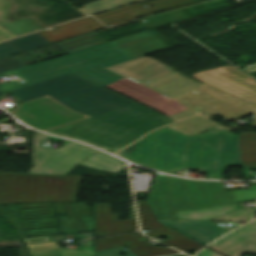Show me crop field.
I'll list each match as a JSON object with an SVG mask.
<instances>
[{"mask_svg":"<svg viewBox=\"0 0 256 256\" xmlns=\"http://www.w3.org/2000/svg\"><path fill=\"white\" fill-rule=\"evenodd\" d=\"M229 132L213 129L188 137L165 127L132 145L126 158L162 172L207 170L206 179H222L227 166H241L238 136Z\"/></svg>","mask_w":256,"mask_h":256,"instance_id":"crop-field-1","label":"crop field"},{"mask_svg":"<svg viewBox=\"0 0 256 256\" xmlns=\"http://www.w3.org/2000/svg\"><path fill=\"white\" fill-rule=\"evenodd\" d=\"M165 49L168 47L148 31L0 74L14 73L27 81L0 86L10 91L72 73L104 87L123 78L105 68Z\"/></svg>","mask_w":256,"mask_h":256,"instance_id":"crop-field-2","label":"crop field"},{"mask_svg":"<svg viewBox=\"0 0 256 256\" xmlns=\"http://www.w3.org/2000/svg\"><path fill=\"white\" fill-rule=\"evenodd\" d=\"M170 123L173 121L157 112L131 103L49 133L85 141L114 153L146 132Z\"/></svg>","mask_w":256,"mask_h":256,"instance_id":"crop-field-3","label":"crop field"},{"mask_svg":"<svg viewBox=\"0 0 256 256\" xmlns=\"http://www.w3.org/2000/svg\"><path fill=\"white\" fill-rule=\"evenodd\" d=\"M158 219H176L174 211L235 203L223 182L190 181L157 174L147 199Z\"/></svg>","mask_w":256,"mask_h":256,"instance_id":"crop-field-4","label":"crop field"},{"mask_svg":"<svg viewBox=\"0 0 256 256\" xmlns=\"http://www.w3.org/2000/svg\"><path fill=\"white\" fill-rule=\"evenodd\" d=\"M47 139L57 143L64 140L35 132L32 156L34 167L29 171L30 174H67L77 164L111 173L126 167L118 159L68 140L57 150L40 145Z\"/></svg>","mask_w":256,"mask_h":256,"instance_id":"crop-field-5","label":"crop field"},{"mask_svg":"<svg viewBox=\"0 0 256 256\" xmlns=\"http://www.w3.org/2000/svg\"><path fill=\"white\" fill-rule=\"evenodd\" d=\"M81 177L0 174V204L76 202Z\"/></svg>","mask_w":256,"mask_h":256,"instance_id":"crop-field-6","label":"crop field"},{"mask_svg":"<svg viewBox=\"0 0 256 256\" xmlns=\"http://www.w3.org/2000/svg\"><path fill=\"white\" fill-rule=\"evenodd\" d=\"M175 99L189 109L208 117L220 114L226 119H236L256 111V94L240 99L210 85Z\"/></svg>","mask_w":256,"mask_h":256,"instance_id":"crop-field-7","label":"crop field"},{"mask_svg":"<svg viewBox=\"0 0 256 256\" xmlns=\"http://www.w3.org/2000/svg\"><path fill=\"white\" fill-rule=\"evenodd\" d=\"M14 115L31 127L43 131L88 118L48 96L20 104Z\"/></svg>","mask_w":256,"mask_h":256,"instance_id":"crop-field-8","label":"crop field"},{"mask_svg":"<svg viewBox=\"0 0 256 256\" xmlns=\"http://www.w3.org/2000/svg\"><path fill=\"white\" fill-rule=\"evenodd\" d=\"M54 99L87 116H95L131 103L130 100L96 85Z\"/></svg>","mask_w":256,"mask_h":256,"instance_id":"crop-field-9","label":"crop field"},{"mask_svg":"<svg viewBox=\"0 0 256 256\" xmlns=\"http://www.w3.org/2000/svg\"><path fill=\"white\" fill-rule=\"evenodd\" d=\"M193 78L240 98L256 93V81L232 65L195 74Z\"/></svg>","mask_w":256,"mask_h":256,"instance_id":"crop-field-10","label":"crop field"},{"mask_svg":"<svg viewBox=\"0 0 256 256\" xmlns=\"http://www.w3.org/2000/svg\"><path fill=\"white\" fill-rule=\"evenodd\" d=\"M236 203L243 200L256 199V187L249 190L233 191ZM255 209L238 210L236 204L213 207L204 210L175 212L178 219H197L210 221L248 222L255 213Z\"/></svg>","mask_w":256,"mask_h":256,"instance_id":"crop-field-11","label":"crop field"},{"mask_svg":"<svg viewBox=\"0 0 256 256\" xmlns=\"http://www.w3.org/2000/svg\"><path fill=\"white\" fill-rule=\"evenodd\" d=\"M129 83L130 86L123 83ZM122 85L126 88H129L133 90L132 92L119 86ZM117 92H120L122 94H125L131 98H134L152 108H155L158 112L170 116L172 114L187 110L185 107L177 103L176 101H173L171 99H168L157 92L146 88L144 86H141L135 82H132L126 78H123L109 86H107Z\"/></svg>","mask_w":256,"mask_h":256,"instance_id":"crop-field-12","label":"crop field"},{"mask_svg":"<svg viewBox=\"0 0 256 256\" xmlns=\"http://www.w3.org/2000/svg\"><path fill=\"white\" fill-rule=\"evenodd\" d=\"M132 81L145 85L175 69L148 56L107 68Z\"/></svg>","mask_w":256,"mask_h":256,"instance_id":"crop-field-13","label":"crop field"},{"mask_svg":"<svg viewBox=\"0 0 256 256\" xmlns=\"http://www.w3.org/2000/svg\"><path fill=\"white\" fill-rule=\"evenodd\" d=\"M126 245L137 256H162L179 253L171 248L157 247L147 243L139 233L95 240V251Z\"/></svg>","mask_w":256,"mask_h":256,"instance_id":"crop-field-14","label":"crop field"},{"mask_svg":"<svg viewBox=\"0 0 256 256\" xmlns=\"http://www.w3.org/2000/svg\"><path fill=\"white\" fill-rule=\"evenodd\" d=\"M209 247L226 256H240L243 252L256 253V222L224 236Z\"/></svg>","mask_w":256,"mask_h":256,"instance_id":"crop-field-15","label":"crop field"},{"mask_svg":"<svg viewBox=\"0 0 256 256\" xmlns=\"http://www.w3.org/2000/svg\"><path fill=\"white\" fill-rule=\"evenodd\" d=\"M164 225L196 240L202 245H207L229 230L210 221L196 220H159Z\"/></svg>","mask_w":256,"mask_h":256,"instance_id":"crop-field-16","label":"crop field"},{"mask_svg":"<svg viewBox=\"0 0 256 256\" xmlns=\"http://www.w3.org/2000/svg\"><path fill=\"white\" fill-rule=\"evenodd\" d=\"M132 220L118 221V214L110 213V204L95 205V238L138 230L134 207H129Z\"/></svg>","mask_w":256,"mask_h":256,"instance_id":"crop-field-17","label":"crop field"},{"mask_svg":"<svg viewBox=\"0 0 256 256\" xmlns=\"http://www.w3.org/2000/svg\"><path fill=\"white\" fill-rule=\"evenodd\" d=\"M205 84L193 81L173 71L145 86H149L169 97L175 98Z\"/></svg>","mask_w":256,"mask_h":256,"instance_id":"crop-field-18","label":"crop field"},{"mask_svg":"<svg viewBox=\"0 0 256 256\" xmlns=\"http://www.w3.org/2000/svg\"><path fill=\"white\" fill-rule=\"evenodd\" d=\"M11 3V0H0V12H4L0 23V41L45 28L34 18L6 22Z\"/></svg>","mask_w":256,"mask_h":256,"instance_id":"crop-field-19","label":"crop field"},{"mask_svg":"<svg viewBox=\"0 0 256 256\" xmlns=\"http://www.w3.org/2000/svg\"><path fill=\"white\" fill-rule=\"evenodd\" d=\"M59 28L49 29L39 32L51 43L78 36L87 32H91L100 28H104L99 22L92 17L80 19L58 26Z\"/></svg>","mask_w":256,"mask_h":256,"instance_id":"crop-field-20","label":"crop field"},{"mask_svg":"<svg viewBox=\"0 0 256 256\" xmlns=\"http://www.w3.org/2000/svg\"><path fill=\"white\" fill-rule=\"evenodd\" d=\"M91 85L93 84L82 80L72 74H69L32 86H34L39 91L47 94L48 96L54 98Z\"/></svg>","mask_w":256,"mask_h":256,"instance_id":"crop-field-21","label":"crop field"},{"mask_svg":"<svg viewBox=\"0 0 256 256\" xmlns=\"http://www.w3.org/2000/svg\"><path fill=\"white\" fill-rule=\"evenodd\" d=\"M146 235L155 238L157 236H165L169 240L163 242L173 248L179 249L184 252H191V251H198L202 247L199 243L167 228H157V229H151L149 232L145 233Z\"/></svg>","mask_w":256,"mask_h":256,"instance_id":"crop-field-22","label":"crop field"},{"mask_svg":"<svg viewBox=\"0 0 256 256\" xmlns=\"http://www.w3.org/2000/svg\"><path fill=\"white\" fill-rule=\"evenodd\" d=\"M51 44L38 33L0 43V58Z\"/></svg>","mask_w":256,"mask_h":256,"instance_id":"crop-field-23","label":"crop field"},{"mask_svg":"<svg viewBox=\"0 0 256 256\" xmlns=\"http://www.w3.org/2000/svg\"><path fill=\"white\" fill-rule=\"evenodd\" d=\"M168 127L172 128L174 130H177L181 133H184L188 136L196 135L198 133H201L203 131L213 129V128L223 129V130L237 129L235 127L229 129V128L222 126L214 121L208 120L202 116H197V117H193V118H190L187 120H183L177 124H174V125H171Z\"/></svg>","mask_w":256,"mask_h":256,"instance_id":"crop-field-24","label":"crop field"},{"mask_svg":"<svg viewBox=\"0 0 256 256\" xmlns=\"http://www.w3.org/2000/svg\"><path fill=\"white\" fill-rule=\"evenodd\" d=\"M104 42H107V40H105L103 37H101L94 31L88 34L81 35L79 37L55 43V45H57L62 50L70 53Z\"/></svg>","mask_w":256,"mask_h":256,"instance_id":"crop-field-25","label":"crop field"},{"mask_svg":"<svg viewBox=\"0 0 256 256\" xmlns=\"http://www.w3.org/2000/svg\"><path fill=\"white\" fill-rule=\"evenodd\" d=\"M240 149L242 155V167L256 170V134L242 132L239 135Z\"/></svg>","mask_w":256,"mask_h":256,"instance_id":"crop-field-26","label":"crop field"},{"mask_svg":"<svg viewBox=\"0 0 256 256\" xmlns=\"http://www.w3.org/2000/svg\"><path fill=\"white\" fill-rule=\"evenodd\" d=\"M183 9L167 12L159 15H155L149 18H145L142 20H139L140 23H142L145 27L151 29L155 28L161 25H165L168 23H172L175 21H179L185 18H189L185 13H183Z\"/></svg>","mask_w":256,"mask_h":256,"instance_id":"crop-field-27","label":"crop field"},{"mask_svg":"<svg viewBox=\"0 0 256 256\" xmlns=\"http://www.w3.org/2000/svg\"><path fill=\"white\" fill-rule=\"evenodd\" d=\"M141 0H99L78 9L85 16Z\"/></svg>","mask_w":256,"mask_h":256,"instance_id":"crop-field-28","label":"crop field"},{"mask_svg":"<svg viewBox=\"0 0 256 256\" xmlns=\"http://www.w3.org/2000/svg\"><path fill=\"white\" fill-rule=\"evenodd\" d=\"M137 204L143 230L164 226L163 224L158 222L147 201L137 202Z\"/></svg>","mask_w":256,"mask_h":256,"instance_id":"crop-field-29","label":"crop field"},{"mask_svg":"<svg viewBox=\"0 0 256 256\" xmlns=\"http://www.w3.org/2000/svg\"><path fill=\"white\" fill-rule=\"evenodd\" d=\"M11 93L14 94L16 97H18L19 99H21L24 102L46 96L45 94L39 92L32 86L22 88L19 90H15V91H11Z\"/></svg>","mask_w":256,"mask_h":256,"instance_id":"crop-field-30","label":"crop field"},{"mask_svg":"<svg viewBox=\"0 0 256 256\" xmlns=\"http://www.w3.org/2000/svg\"><path fill=\"white\" fill-rule=\"evenodd\" d=\"M22 66H26L24 63L11 56L6 59L0 60V73L6 72L12 69H16Z\"/></svg>","mask_w":256,"mask_h":256,"instance_id":"crop-field-31","label":"crop field"},{"mask_svg":"<svg viewBox=\"0 0 256 256\" xmlns=\"http://www.w3.org/2000/svg\"><path fill=\"white\" fill-rule=\"evenodd\" d=\"M124 249L125 247L122 246L118 248L99 251V252H96V256H120Z\"/></svg>","mask_w":256,"mask_h":256,"instance_id":"crop-field-32","label":"crop field"},{"mask_svg":"<svg viewBox=\"0 0 256 256\" xmlns=\"http://www.w3.org/2000/svg\"><path fill=\"white\" fill-rule=\"evenodd\" d=\"M195 113L187 110V111H184V112H181V113H178V114H175V115H172L168 118L174 120V121H177V120H180V119H183L185 117H188V116H191V115H194Z\"/></svg>","mask_w":256,"mask_h":256,"instance_id":"crop-field-33","label":"crop field"},{"mask_svg":"<svg viewBox=\"0 0 256 256\" xmlns=\"http://www.w3.org/2000/svg\"><path fill=\"white\" fill-rule=\"evenodd\" d=\"M197 256H220V255H218V254H216V253L206 249L203 252H201L200 254H198Z\"/></svg>","mask_w":256,"mask_h":256,"instance_id":"crop-field-34","label":"crop field"},{"mask_svg":"<svg viewBox=\"0 0 256 256\" xmlns=\"http://www.w3.org/2000/svg\"><path fill=\"white\" fill-rule=\"evenodd\" d=\"M244 70H246L247 72L251 73V72H255L256 71V64L254 65H250V66H246V67H242Z\"/></svg>","mask_w":256,"mask_h":256,"instance_id":"crop-field-35","label":"crop field"},{"mask_svg":"<svg viewBox=\"0 0 256 256\" xmlns=\"http://www.w3.org/2000/svg\"><path fill=\"white\" fill-rule=\"evenodd\" d=\"M123 253L127 254L128 256H136L130 250L128 251L125 250Z\"/></svg>","mask_w":256,"mask_h":256,"instance_id":"crop-field-36","label":"crop field"},{"mask_svg":"<svg viewBox=\"0 0 256 256\" xmlns=\"http://www.w3.org/2000/svg\"><path fill=\"white\" fill-rule=\"evenodd\" d=\"M253 127H256V112L254 113L253 116Z\"/></svg>","mask_w":256,"mask_h":256,"instance_id":"crop-field-37","label":"crop field"},{"mask_svg":"<svg viewBox=\"0 0 256 256\" xmlns=\"http://www.w3.org/2000/svg\"><path fill=\"white\" fill-rule=\"evenodd\" d=\"M5 93H8V92L0 87V95L5 94Z\"/></svg>","mask_w":256,"mask_h":256,"instance_id":"crop-field-38","label":"crop field"},{"mask_svg":"<svg viewBox=\"0 0 256 256\" xmlns=\"http://www.w3.org/2000/svg\"><path fill=\"white\" fill-rule=\"evenodd\" d=\"M174 256H186L185 254H180V255H174Z\"/></svg>","mask_w":256,"mask_h":256,"instance_id":"crop-field-39","label":"crop field"},{"mask_svg":"<svg viewBox=\"0 0 256 256\" xmlns=\"http://www.w3.org/2000/svg\"><path fill=\"white\" fill-rule=\"evenodd\" d=\"M244 256H248V255H244Z\"/></svg>","mask_w":256,"mask_h":256,"instance_id":"crop-field-40","label":"crop field"}]
</instances>
